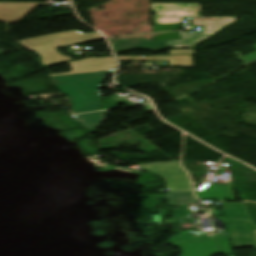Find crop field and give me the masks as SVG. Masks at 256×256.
Instances as JSON below:
<instances>
[{
    "instance_id": "obj_1",
    "label": "crop field",
    "mask_w": 256,
    "mask_h": 256,
    "mask_svg": "<svg viewBox=\"0 0 256 256\" xmlns=\"http://www.w3.org/2000/svg\"><path fill=\"white\" fill-rule=\"evenodd\" d=\"M111 73L113 72L49 79L55 88L70 98L73 113H81L95 111L97 107L103 106L99 85Z\"/></svg>"
},
{
    "instance_id": "obj_2",
    "label": "crop field",
    "mask_w": 256,
    "mask_h": 256,
    "mask_svg": "<svg viewBox=\"0 0 256 256\" xmlns=\"http://www.w3.org/2000/svg\"><path fill=\"white\" fill-rule=\"evenodd\" d=\"M143 170L151 171L165 179L167 189L170 191L191 190L189 177L179 166V163L141 166Z\"/></svg>"
},
{
    "instance_id": "obj_3",
    "label": "crop field",
    "mask_w": 256,
    "mask_h": 256,
    "mask_svg": "<svg viewBox=\"0 0 256 256\" xmlns=\"http://www.w3.org/2000/svg\"><path fill=\"white\" fill-rule=\"evenodd\" d=\"M153 39H164V42H150L143 38L131 39V40H119L113 44V48L116 54L133 51L137 49H144L153 52H162L167 49L166 39H180L179 32H167L161 33L160 36L153 37Z\"/></svg>"
},
{
    "instance_id": "obj_4",
    "label": "crop field",
    "mask_w": 256,
    "mask_h": 256,
    "mask_svg": "<svg viewBox=\"0 0 256 256\" xmlns=\"http://www.w3.org/2000/svg\"><path fill=\"white\" fill-rule=\"evenodd\" d=\"M37 5L0 3V21L5 23L20 21Z\"/></svg>"
},
{
    "instance_id": "obj_5",
    "label": "crop field",
    "mask_w": 256,
    "mask_h": 256,
    "mask_svg": "<svg viewBox=\"0 0 256 256\" xmlns=\"http://www.w3.org/2000/svg\"><path fill=\"white\" fill-rule=\"evenodd\" d=\"M168 203L171 206L176 205H184V204H192L197 203L198 201H194V196L191 191L185 192H169L167 193Z\"/></svg>"
},
{
    "instance_id": "obj_6",
    "label": "crop field",
    "mask_w": 256,
    "mask_h": 256,
    "mask_svg": "<svg viewBox=\"0 0 256 256\" xmlns=\"http://www.w3.org/2000/svg\"><path fill=\"white\" fill-rule=\"evenodd\" d=\"M107 111L104 112H96V113H88V114H80L77 115V119L79 120L83 127L87 129L97 128L98 124L102 122L103 116Z\"/></svg>"
},
{
    "instance_id": "obj_7",
    "label": "crop field",
    "mask_w": 256,
    "mask_h": 256,
    "mask_svg": "<svg viewBox=\"0 0 256 256\" xmlns=\"http://www.w3.org/2000/svg\"><path fill=\"white\" fill-rule=\"evenodd\" d=\"M253 47H254L255 50H256V44L253 45ZM234 54H235L244 64H247V63H249V62H252V61L256 60V52H253V53L248 54V55L246 56L248 59L244 58V57L241 55V53H240L239 51L234 52Z\"/></svg>"
},
{
    "instance_id": "obj_8",
    "label": "crop field",
    "mask_w": 256,
    "mask_h": 256,
    "mask_svg": "<svg viewBox=\"0 0 256 256\" xmlns=\"http://www.w3.org/2000/svg\"><path fill=\"white\" fill-rule=\"evenodd\" d=\"M154 32L166 30H181L180 25L153 26Z\"/></svg>"
},
{
    "instance_id": "obj_9",
    "label": "crop field",
    "mask_w": 256,
    "mask_h": 256,
    "mask_svg": "<svg viewBox=\"0 0 256 256\" xmlns=\"http://www.w3.org/2000/svg\"><path fill=\"white\" fill-rule=\"evenodd\" d=\"M228 185H229V188L226 189V190L228 191V193H229V194L232 196V198H233L231 183L228 184Z\"/></svg>"
},
{
    "instance_id": "obj_10",
    "label": "crop field",
    "mask_w": 256,
    "mask_h": 256,
    "mask_svg": "<svg viewBox=\"0 0 256 256\" xmlns=\"http://www.w3.org/2000/svg\"><path fill=\"white\" fill-rule=\"evenodd\" d=\"M252 232H253L254 244L256 248V230H252Z\"/></svg>"
},
{
    "instance_id": "obj_11",
    "label": "crop field",
    "mask_w": 256,
    "mask_h": 256,
    "mask_svg": "<svg viewBox=\"0 0 256 256\" xmlns=\"http://www.w3.org/2000/svg\"><path fill=\"white\" fill-rule=\"evenodd\" d=\"M216 237L225 236L223 232H215Z\"/></svg>"
},
{
    "instance_id": "obj_12",
    "label": "crop field",
    "mask_w": 256,
    "mask_h": 256,
    "mask_svg": "<svg viewBox=\"0 0 256 256\" xmlns=\"http://www.w3.org/2000/svg\"><path fill=\"white\" fill-rule=\"evenodd\" d=\"M194 234H197V233H193V232H184L183 235H194Z\"/></svg>"
},
{
    "instance_id": "obj_13",
    "label": "crop field",
    "mask_w": 256,
    "mask_h": 256,
    "mask_svg": "<svg viewBox=\"0 0 256 256\" xmlns=\"http://www.w3.org/2000/svg\"><path fill=\"white\" fill-rule=\"evenodd\" d=\"M72 46V45H71ZM65 47H67V46H65ZM59 48H61V47H59Z\"/></svg>"
}]
</instances>
